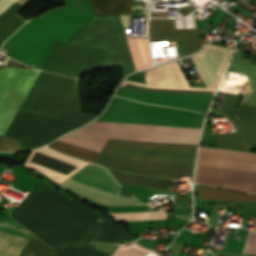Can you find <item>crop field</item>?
<instances>
[{
    "instance_id": "obj_3",
    "label": "crop field",
    "mask_w": 256,
    "mask_h": 256,
    "mask_svg": "<svg viewBox=\"0 0 256 256\" xmlns=\"http://www.w3.org/2000/svg\"><path fill=\"white\" fill-rule=\"evenodd\" d=\"M93 16L86 0H64V7L24 24L2 48L9 49L7 56L40 69L53 41L67 43Z\"/></svg>"
},
{
    "instance_id": "obj_14",
    "label": "crop field",
    "mask_w": 256,
    "mask_h": 256,
    "mask_svg": "<svg viewBox=\"0 0 256 256\" xmlns=\"http://www.w3.org/2000/svg\"><path fill=\"white\" fill-rule=\"evenodd\" d=\"M202 28L173 30V19H149L150 41L182 39V57L196 52Z\"/></svg>"
},
{
    "instance_id": "obj_30",
    "label": "crop field",
    "mask_w": 256,
    "mask_h": 256,
    "mask_svg": "<svg viewBox=\"0 0 256 256\" xmlns=\"http://www.w3.org/2000/svg\"><path fill=\"white\" fill-rule=\"evenodd\" d=\"M243 253L256 254V232H249Z\"/></svg>"
},
{
    "instance_id": "obj_32",
    "label": "crop field",
    "mask_w": 256,
    "mask_h": 256,
    "mask_svg": "<svg viewBox=\"0 0 256 256\" xmlns=\"http://www.w3.org/2000/svg\"><path fill=\"white\" fill-rule=\"evenodd\" d=\"M16 0H0V14L4 12Z\"/></svg>"
},
{
    "instance_id": "obj_22",
    "label": "crop field",
    "mask_w": 256,
    "mask_h": 256,
    "mask_svg": "<svg viewBox=\"0 0 256 256\" xmlns=\"http://www.w3.org/2000/svg\"><path fill=\"white\" fill-rule=\"evenodd\" d=\"M95 244L67 245L61 248H52L55 256H110V254L93 250Z\"/></svg>"
},
{
    "instance_id": "obj_4",
    "label": "crop field",
    "mask_w": 256,
    "mask_h": 256,
    "mask_svg": "<svg viewBox=\"0 0 256 256\" xmlns=\"http://www.w3.org/2000/svg\"><path fill=\"white\" fill-rule=\"evenodd\" d=\"M196 148L109 140L94 163L140 176L179 179L180 175H192Z\"/></svg>"
},
{
    "instance_id": "obj_9",
    "label": "crop field",
    "mask_w": 256,
    "mask_h": 256,
    "mask_svg": "<svg viewBox=\"0 0 256 256\" xmlns=\"http://www.w3.org/2000/svg\"><path fill=\"white\" fill-rule=\"evenodd\" d=\"M41 71L4 67L0 69V134L4 135Z\"/></svg>"
},
{
    "instance_id": "obj_33",
    "label": "crop field",
    "mask_w": 256,
    "mask_h": 256,
    "mask_svg": "<svg viewBox=\"0 0 256 256\" xmlns=\"http://www.w3.org/2000/svg\"><path fill=\"white\" fill-rule=\"evenodd\" d=\"M0 150H9L5 138L0 136Z\"/></svg>"
},
{
    "instance_id": "obj_13",
    "label": "crop field",
    "mask_w": 256,
    "mask_h": 256,
    "mask_svg": "<svg viewBox=\"0 0 256 256\" xmlns=\"http://www.w3.org/2000/svg\"><path fill=\"white\" fill-rule=\"evenodd\" d=\"M233 50L208 44L192 57L206 87H217Z\"/></svg>"
},
{
    "instance_id": "obj_18",
    "label": "crop field",
    "mask_w": 256,
    "mask_h": 256,
    "mask_svg": "<svg viewBox=\"0 0 256 256\" xmlns=\"http://www.w3.org/2000/svg\"><path fill=\"white\" fill-rule=\"evenodd\" d=\"M29 241L0 231V256H21Z\"/></svg>"
},
{
    "instance_id": "obj_17",
    "label": "crop field",
    "mask_w": 256,
    "mask_h": 256,
    "mask_svg": "<svg viewBox=\"0 0 256 256\" xmlns=\"http://www.w3.org/2000/svg\"><path fill=\"white\" fill-rule=\"evenodd\" d=\"M95 15H128L131 0H88Z\"/></svg>"
},
{
    "instance_id": "obj_23",
    "label": "crop field",
    "mask_w": 256,
    "mask_h": 256,
    "mask_svg": "<svg viewBox=\"0 0 256 256\" xmlns=\"http://www.w3.org/2000/svg\"><path fill=\"white\" fill-rule=\"evenodd\" d=\"M50 147L57 149L59 151H62L70 156L88 161V162H93L95 160V158L97 157L98 153L92 152L90 150L84 149V148H80V147H76V146H72L69 144H65L62 142H54L51 145H49Z\"/></svg>"
},
{
    "instance_id": "obj_29",
    "label": "crop field",
    "mask_w": 256,
    "mask_h": 256,
    "mask_svg": "<svg viewBox=\"0 0 256 256\" xmlns=\"http://www.w3.org/2000/svg\"><path fill=\"white\" fill-rule=\"evenodd\" d=\"M243 78H244L245 93H244V97L241 105L256 107V103L253 98V94L249 85L248 78L244 75H243Z\"/></svg>"
},
{
    "instance_id": "obj_34",
    "label": "crop field",
    "mask_w": 256,
    "mask_h": 256,
    "mask_svg": "<svg viewBox=\"0 0 256 256\" xmlns=\"http://www.w3.org/2000/svg\"><path fill=\"white\" fill-rule=\"evenodd\" d=\"M248 78H249V77H248ZM253 80H254V82H255V84H256V79L253 78ZM249 81H250L251 88H252V91H253V94H254V97H255V100H256V87H255V85H254V83H253V81H252L251 78H249Z\"/></svg>"
},
{
    "instance_id": "obj_16",
    "label": "crop field",
    "mask_w": 256,
    "mask_h": 256,
    "mask_svg": "<svg viewBox=\"0 0 256 256\" xmlns=\"http://www.w3.org/2000/svg\"><path fill=\"white\" fill-rule=\"evenodd\" d=\"M237 117H256V108L240 106ZM242 139L256 148V119H237Z\"/></svg>"
},
{
    "instance_id": "obj_1",
    "label": "crop field",
    "mask_w": 256,
    "mask_h": 256,
    "mask_svg": "<svg viewBox=\"0 0 256 256\" xmlns=\"http://www.w3.org/2000/svg\"><path fill=\"white\" fill-rule=\"evenodd\" d=\"M69 199L38 181L12 218L53 247L137 239Z\"/></svg>"
},
{
    "instance_id": "obj_27",
    "label": "crop field",
    "mask_w": 256,
    "mask_h": 256,
    "mask_svg": "<svg viewBox=\"0 0 256 256\" xmlns=\"http://www.w3.org/2000/svg\"><path fill=\"white\" fill-rule=\"evenodd\" d=\"M30 254H33L32 256H54L55 252L34 236L23 256H31Z\"/></svg>"
},
{
    "instance_id": "obj_19",
    "label": "crop field",
    "mask_w": 256,
    "mask_h": 256,
    "mask_svg": "<svg viewBox=\"0 0 256 256\" xmlns=\"http://www.w3.org/2000/svg\"><path fill=\"white\" fill-rule=\"evenodd\" d=\"M200 198L229 199L256 202V195L224 191L215 187L197 185Z\"/></svg>"
},
{
    "instance_id": "obj_24",
    "label": "crop field",
    "mask_w": 256,
    "mask_h": 256,
    "mask_svg": "<svg viewBox=\"0 0 256 256\" xmlns=\"http://www.w3.org/2000/svg\"><path fill=\"white\" fill-rule=\"evenodd\" d=\"M58 140L64 141L72 145L98 151V152H100V150L104 147V145L108 141V140H102V139L81 138V137H71V136H64L59 138Z\"/></svg>"
},
{
    "instance_id": "obj_31",
    "label": "crop field",
    "mask_w": 256,
    "mask_h": 256,
    "mask_svg": "<svg viewBox=\"0 0 256 256\" xmlns=\"http://www.w3.org/2000/svg\"><path fill=\"white\" fill-rule=\"evenodd\" d=\"M5 138L11 151L20 150L16 139L7 137Z\"/></svg>"
},
{
    "instance_id": "obj_26",
    "label": "crop field",
    "mask_w": 256,
    "mask_h": 256,
    "mask_svg": "<svg viewBox=\"0 0 256 256\" xmlns=\"http://www.w3.org/2000/svg\"><path fill=\"white\" fill-rule=\"evenodd\" d=\"M111 256H160V255L148 248L139 246L138 244L133 242L127 246L116 248V250L113 252Z\"/></svg>"
},
{
    "instance_id": "obj_8",
    "label": "crop field",
    "mask_w": 256,
    "mask_h": 256,
    "mask_svg": "<svg viewBox=\"0 0 256 256\" xmlns=\"http://www.w3.org/2000/svg\"><path fill=\"white\" fill-rule=\"evenodd\" d=\"M110 176L105 169L89 164L71 178L89 186L115 193L118 185ZM72 179L64 181L59 186L69 188L79 197L86 198L105 206L143 205L134 198L117 196L113 193L78 183Z\"/></svg>"
},
{
    "instance_id": "obj_10",
    "label": "crop field",
    "mask_w": 256,
    "mask_h": 256,
    "mask_svg": "<svg viewBox=\"0 0 256 256\" xmlns=\"http://www.w3.org/2000/svg\"><path fill=\"white\" fill-rule=\"evenodd\" d=\"M105 52L103 49L54 42L41 69L77 77L90 68L103 65Z\"/></svg>"
},
{
    "instance_id": "obj_2",
    "label": "crop field",
    "mask_w": 256,
    "mask_h": 256,
    "mask_svg": "<svg viewBox=\"0 0 256 256\" xmlns=\"http://www.w3.org/2000/svg\"><path fill=\"white\" fill-rule=\"evenodd\" d=\"M205 115L149 106L114 96L97 120L201 128ZM94 121L67 135L156 143L197 144L201 129Z\"/></svg>"
},
{
    "instance_id": "obj_35",
    "label": "crop field",
    "mask_w": 256,
    "mask_h": 256,
    "mask_svg": "<svg viewBox=\"0 0 256 256\" xmlns=\"http://www.w3.org/2000/svg\"><path fill=\"white\" fill-rule=\"evenodd\" d=\"M242 256H253V255H246V254H243Z\"/></svg>"
},
{
    "instance_id": "obj_5",
    "label": "crop field",
    "mask_w": 256,
    "mask_h": 256,
    "mask_svg": "<svg viewBox=\"0 0 256 256\" xmlns=\"http://www.w3.org/2000/svg\"><path fill=\"white\" fill-rule=\"evenodd\" d=\"M194 183L256 193V154L200 147Z\"/></svg>"
},
{
    "instance_id": "obj_25",
    "label": "crop field",
    "mask_w": 256,
    "mask_h": 256,
    "mask_svg": "<svg viewBox=\"0 0 256 256\" xmlns=\"http://www.w3.org/2000/svg\"><path fill=\"white\" fill-rule=\"evenodd\" d=\"M214 139L218 148L245 151L237 132L219 134Z\"/></svg>"
},
{
    "instance_id": "obj_20",
    "label": "crop field",
    "mask_w": 256,
    "mask_h": 256,
    "mask_svg": "<svg viewBox=\"0 0 256 256\" xmlns=\"http://www.w3.org/2000/svg\"><path fill=\"white\" fill-rule=\"evenodd\" d=\"M108 171L112 174L116 181L120 183L150 188H168V180L139 177L109 169Z\"/></svg>"
},
{
    "instance_id": "obj_21",
    "label": "crop field",
    "mask_w": 256,
    "mask_h": 256,
    "mask_svg": "<svg viewBox=\"0 0 256 256\" xmlns=\"http://www.w3.org/2000/svg\"><path fill=\"white\" fill-rule=\"evenodd\" d=\"M135 69L150 66L147 40L126 39Z\"/></svg>"
},
{
    "instance_id": "obj_6",
    "label": "crop field",
    "mask_w": 256,
    "mask_h": 256,
    "mask_svg": "<svg viewBox=\"0 0 256 256\" xmlns=\"http://www.w3.org/2000/svg\"><path fill=\"white\" fill-rule=\"evenodd\" d=\"M20 110L83 123L98 116L82 113L78 80L47 72L40 73Z\"/></svg>"
},
{
    "instance_id": "obj_28",
    "label": "crop field",
    "mask_w": 256,
    "mask_h": 256,
    "mask_svg": "<svg viewBox=\"0 0 256 256\" xmlns=\"http://www.w3.org/2000/svg\"><path fill=\"white\" fill-rule=\"evenodd\" d=\"M239 97L237 95L228 94L226 100L221 108L224 114L229 118H234V114L236 111V107L239 101Z\"/></svg>"
},
{
    "instance_id": "obj_15",
    "label": "crop field",
    "mask_w": 256,
    "mask_h": 256,
    "mask_svg": "<svg viewBox=\"0 0 256 256\" xmlns=\"http://www.w3.org/2000/svg\"><path fill=\"white\" fill-rule=\"evenodd\" d=\"M28 1L29 0H17L3 14L0 15V47L4 40H6L20 26H22L25 22H27L21 19L18 16L17 12Z\"/></svg>"
},
{
    "instance_id": "obj_12",
    "label": "crop field",
    "mask_w": 256,
    "mask_h": 256,
    "mask_svg": "<svg viewBox=\"0 0 256 256\" xmlns=\"http://www.w3.org/2000/svg\"><path fill=\"white\" fill-rule=\"evenodd\" d=\"M115 95L141 102L169 105L194 111L207 112L213 96L196 94L148 93L120 87Z\"/></svg>"
},
{
    "instance_id": "obj_7",
    "label": "crop field",
    "mask_w": 256,
    "mask_h": 256,
    "mask_svg": "<svg viewBox=\"0 0 256 256\" xmlns=\"http://www.w3.org/2000/svg\"><path fill=\"white\" fill-rule=\"evenodd\" d=\"M83 123L18 111L5 136L17 138L22 150L51 142Z\"/></svg>"
},
{
    "instance_id": "obj_11",
    "label": "crop field",
    "mask_w": 256,
    "mask_h": 256,
    "mask_svg": "<svg viewBox=\"0 0 256 256\" xmlns=\"http://www.w3.org/2000/svg\"><path fill=\"white\" fill-rule=\"evenodd\" d=\"M145 82L125 80L122 87L148 92L197 93L213 95L216 88L190 87L177 61L143 71Z\"/></svg>"
}]
</instances>
